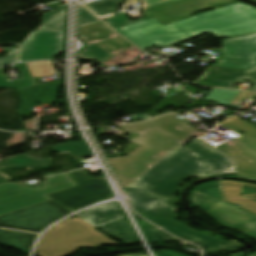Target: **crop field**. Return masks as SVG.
I'll return each mask as SVG.
<instances>
[{
    "label": "crop field",
    "mask_w": 256,
    "mask_h": 256,
    "mask_svg": "<svg viewBox=\"0 0 256 256\" xmlns=\"http://www.w3.org/2000/svg\"><path fill=\"white\" fill-rule=\"evenodd\" d=\"M115 30L145 50L155 43L165 47L205 32L225 37L256 32V9L238 3L166 26L151 19Z\"/></svg>",
    "instance_id": "8a807250"
},
{
    "label": "crop field",
    "mask_w": 256,
    "mask_h": 256,
    "mask_svg": "<svg viewBox=\"0 0 256 256\" xmlns=\"http://www.w3.org/2000/svg\"><path fill=\"white\" fill-rule=\"evenodd\" d=\"M190 177H209L196 157L181 148L165 157L136 183L164 201L175 202L179 185Z\"/></svg>",
    "instance_id": "ac0d7876"
},
{
    "label": "crop field",
    "mask_w": 256,
    "mask_h": 256,
    "mask_svg": "<svg viewBox=\"0 0 256 256\" xmlns=\"http://www.w3.org/2000/svg\"><path fill=\"white\" fill-rule=\"evenodd\" d=\"M119 245L80 218L67 219L40 240L35 256H68L79 247Z\"/></svg>",
    "instance_id": "34b2d1b8"
},
{
    "label": "crop field",
    "mask_w": 256,
    "mask_h": 256,
    "mask_svg": "<svg viewBox=\"0 0 256 256\" xmlns=\"http://www.w3.org/2000/svg\"><path fill=\"white\" fill-rule=\"evenodd\" d=\"M37 189L9 183L0 185V216L47 200L44 195L75 186L67 174L48 178Z\"/></svg>",
    "instance_id": "412701ff"
},
{
    "label": "crop field",
    "mask_w": 256,
    "mask_h": 256,
    "mask_svg": "<svg viewBox=\"0 0 256 256\" xmlns=\"http://www.w3.org/2000/svg\"><path fill=\"white\" fill-rule=\"evenodd\" d=\"M192 205L226 229L234 228L256 239V216L239 210L221 200L190 190ZM256 256V253L250 255Z\"/></svg>",
    "instance_id": "f4fd0767"
},
{
    "label": "crop field",
    "mask_w": 256,
    "mask_h": 256,
    "mask_svg": "<svg viewBox=\"0 0 256 256\" xmlns=\"http://www.w3.org/2000/svg\"><path fill=\"white\" fill-rule=\"evenodd\" d=\"M68 175L77 186L46 196L71 212L112 196L104 178H89L84 170Z\"/></svg>",
    "instance_id": "dd49c442"
},
{
    "label": "crop field",
    "mask_w": 256,
    "mask_h": 256,
    "mask_svg": "<svg viewBox=\"0 0 256 256\" xmlns=\"http://www.w3.org/2000/svg\"><path fill=\"white\" fill-rule=\"evenodd\" d=\"M176 207L170 204H162L153 213L144 215L143 217L158 224L167 232L191 242H195L203 246L208 254L221 252L225 250L236 249L240 244L234 240L224 241L222 239H215L196 232L176 221ZM157 225V226H158Z\"/></svg>",
    "instance_id": "e52e79f7"
},
{
    "label": "crop field",
    "mask_w": 256,
    "mask_h": 256,
    "mask_svg": "<svg viewBox=\"0 0 256 256\" xmlns=\"http://www.w3.org/2000/svg\"><path fill=\"white\" fill-rule=\"evenodd\" d=\"M50 200L0 217V227L39 233L51 223L69 214Z\"/></svg>",
    "instance_id": "d8731c3e"
},
{
    "label": "crop field",
    "mask_w": 256,
    "mask_h": 256,
    "mask_svg": "<svg viewBox=\"0 0 256 256\" xmlns=\"http://www.w3.org/2000/svg\"><path fill=\"white\" fill-rule=\"evenodd\" d=\"M234 0H180L156 8L143 11L144 18L133 21L155 18L164 25L175 22L177 20L191 16L193 12L204 10L208 7L230 3ZM209 9V8H208ZM107 24L113 29L123 25L130 24L124 13H119L116 16L106 20Z\"/></svg>",
    "instance_id": "5a996713"
},
{
    "label": "crop field",
    "mask_w": 256,
    "mask_h": 256,
    "mask_svg": "<svg viewBox=\"0 0 256 256\" xmlns=\"http://www.w3.org/2000/svg\"><path fill=\"white\" fill-rule=\"evenodd\" d=\"M168 154L170 153L141 146L127 157L112 158L108 161L123 185L130 187Z\"/></svg>",
    "instance_id": "3316defc"
},
{
    "label": "crop field",
    "mask_w": 256,
    "mask_h": 256,
    "mask_svg": "<svg viewBox=\"0 0 256 256\" xmlns=\"http://www.w3.org/2000/svg\"><path fill=\"white\" fill-rule=\"evenodd\" d=\"M77 216L125 244L138 243L116 204L94 207L78 213Z\"/></svg>",
    "instance_id": "28ad6ade"
},
{
    "label": "crop field",
    "mask_w": 256,
    "mask_h": 256,
    "mask_svg": "<svg viewBox=\"0 0 256 256\" xmlns=\"http://www.w3.org/2000/svg\"><path fill=\"white\" fill-rule=\"evenodd\" d=\"M63 41L64 31H33L22 43L20 60L53 58L63 51Z\"/></svg>",
    "instance_id": "d1516ede"
},
{
    "label": "crop field",
    "mask_w": 256,
    "mask_h": 256,
    "mask_svg": "<svg viewBox=\"0 0 256 256\" xmlns=\"http://www.w3.org/2000/svg\"><path fill=\"white\" fill-rule=\"evenodd\" d=\"M216 148L232 159L234 167L230 172L240 176L256 177V139L245 135Z\"/></svg>",
    "instance_id": "22f410ed"
},
{
    "label": "crop field",
    "mask_w": 256,
    "mask_h": 256,
    "mask_svg": "<svg viewBox=\"0 0 256 256\" xmlns=\"http://www.w3.org/2000/svg\"><path fill=\"white\" fill-rule=\"evenodd\" d=\"M250 80L251 91L255 92L256 69L235 70L221 67L208 66L201 79L193 82L201 86L232 88L235 81Z\"/></svg>",
    "instance_id": "cbeb9de0"
},
{
    "label": "crop field",
    "mask_w": 256,
    "mask_h": 256,
    "mask_svg": "<svg viewBox=\"0 0 256 256\" xmlns=\"http://www.w3.org/2000/svg\"><path fill=\"white\" fill-rule=\"evenodd\" d=\"M47 83L25 88L23 90L17 91L20 94L22 103L17 112L19 115L30 116L35 104L37 101L47 102L46 99L49 98L50 100L47 103L53 104L55 99L57 98V93L62 86L61 80L49 82L47 87L45 88ZM37 91L35 92L36 88ZM45 88L44 92L42 93L43 89ZM35 92V93H34ZM42 93V95H41ZM41 95V97H40ZM40 97V99H39Z\"/></svg>",
    "instance_id": "5142ce71"
},
{
    "label": "crop field",
    "mask_w": 256,
    "mask_h": 256,
    "mask_svg": "<svg viewBox=\"0 0 256 256\" xmlns=\"http://www.w3.org/2000/svg\"><path fill=\"white\" fill-rule=\"evenodd\" d=\"M221 184L225 201L241 204L239 207L256 214V198H253L256 196V185L232 181H221Z\"/></svg>",
    "instance_id": "d9b57169"
},
{
    "label": "crop field",
    "mask_w": 256,
    "mask_h": 256,
    "mask_svg": "<svg viewBox=\"0 0 256 256\" xmlns=\"http://www.w3.org/2000/svg\"><path fill=\"white\" fill-rule=\"evenodd\" d=\"M223 58L256 62V34L222 40Z\"/></svg>",
    "instance_id": "733c2abd"
},
{
    "label": "crop field",
    "mask_w": 256,
    "mask_h": 256,
    "mask_svg": "<svg viewBox=\"0 0 256 256\" xmlns=\"http://www.w3.org/2000/svg\"><path fill=\"white\" fill-rule=\"evenodd\" d=\"M185 147L200 157L210 176L217 175L219 171L231 166V163L227 158H225L203 140H197Z\"/></svg>",
    "instance_id": "4a817a6b"
},
{
    "label": "crop field",
    "mask_w": 256,
    "mask_h": 256,
    "mask_svg": "<svg viewBox=\"0 0 256 256\" xmlns=\"http://www.w3.org/2000/svg\"><path fill=\"white\" fill-rule=\"evenodd\" d=\"M130 142L167 152L175 149L183 143L156 127L137 136Z\"/></svg>",
    "instance_id": "bc2a9ffb"
},
{
    "label": "crop field",
    "mask_w": 256,
    "mask_h": 256,
    "mask_svg": "<svg viewBox=\"0 0 256 256\" xmlns=\"http://www.w3.org/2000/svg\"><path fill=\"white\" fill-rule=\"evenodd\" d=\"M157 127L163 129L181 141H186L193 136H199L205 132H197L191 127L184 124L183 120L176 117V115H165L149 121Z\"/></svg>",
    "instance_id": "214f88e0"
},
{
    "label": "crop field",
    "mask_w": 256,
    "mask_h": 256,
    "mask_svg": "<svg viewBox=\"0 0 256 256\" xmlns=\"http://www.w3.org/2000/svg\"><path fill=\"white\" fill-rule=\"evenodd\" d=\"M126 194L129 196V200L135 210L142 215L154 211L158 206L164 203V201L151 195L145 188L135 183L126 190Z\"/></svg>",
    "instance_id": "92a150f3"
},
{
    "label": "crop field",
    "mask_w": 256,
    "mask_h": 256,
    "mask_svg": "<svg viewBox=\"0 0 256 256\" xmlns=\"http://www.w3.org/2000/svg\"><path fill=\"white\" fill-rule=\"evenodd\" d=\"M37 234L0 229V244L29 255Z\"/></svg>",
    "instance_id": "dafd665d"
},
{
    "label": "crop field",
    "mask_w": 256,
    "mask_h": 256,
    "mask_svg": "<svg viewBox=\"0 0 256 256\" xmlns=\"http://www.w3.org/2000/svg\"><path fill=\"white\" fill-rule=\"evenodd\" d=\"M51 161L52 160L49 159L31 158L27 154H23L9 158L8 161L0 164V169L47 167L50 165ZM10 180V178H8L6 175L0 172V184L8 182Z\"/></svg>",
    "instance_id": "00972430"
},
{
    "label": "crop field",
    "mask_w": 256,
    "mask_h": 256,
    "mask_svg": "<svg viewBox=\"0 0 256 256\" xmlns=\"http://www.w3.org/2000/svg\"><path fill=\"white\" fill-rule=\"evenodd\" d=\"M66 6H58L52 13L43 16L40 27L37 30H64ZM61 24L62 26H59Z\"/></svg>",
    "instance_id": "a9b5d70f"
},
{
    "label": "crop field",
    "mask_w": 256,
    "mask_h": 256,
    "mask_svg": "<svg viewBox=\"0 0 256 256\" xmlns=\"http://www.w3.org/2000/svg\"><path fill=\"white\" fill-rule=\"evenodd\" d=\"M15 68L20 69L21 73L23 74L24 80L7 82L5 77L2 74L3 68H0V87L1 88H12V89L20 90L22 88L35 85L25 63L17 64Z\"/></svg>",
    "instance_id": "4177f3b9"
},
{
    "label": "crop field",
    "mask_w": 256,
    "mask_h": 256,
    "mask_svg": "<svg viewBox=\"0 0 256 256\" xmlns=\"http://www.w3.org/2000/svg\"><path fill=\"white\" fill-rule=\"evenodd\" d=\"M32 77L52 76L56 74V69L52 61L26 63Z\"/></svg>",
    "instance_id": "730fd06b"
},
{
    "label": "crop field",
    "mask_w": 256,
    "mask_h": 256,
    "mask_svg": "<svg viewBox=\"0 0 256 256\" xmlns=\"http://www.w3.org/2000/svg\"><path fill=\"white\" fill-rule=\"evenodd\" d=\"M120 0H105L97 3L87 4L86 6L98 16L114 13Z\"/></svg>",
    "instance_id": "eef30255"
},
{
    "label": "crop field",
    "mask_w": 256,
    "mask_h": 256,
    "mask_svg": "<svg viewBox=\"0 0 256 256\" xmlns=\"http://www.w3.org/2000/svg\"><path fill=\"white\" fill-rule=\"evenodd\" d=\"M52 151H66V152L73 154L76 157L85 156V155L90 154L85 142L56 145L52 149Z\"/></svg>",
    "instance_id": "ae1a2a85"
},
{
    "label": "crop field",
    "mask_w": 256,
    "mask_h": 256,
    "mask_svg": "<svg viewBox=\"0 0 256 256\" xmlns=\"http://www.w3.org/2000/svg\"><path fill=\"white\" fill-rule=\"evenodd\" d=\"M140 225L146 231L147 235L149 236L151 242H173L176 241L175 239L171 238L170 236L160 232L159 230L153 228L146 222H141Z\"/></svg>",
    "instance_id": "d3111659"
},
{
    "label": "crop field",
    "mask_w": 256,
    "mask_h": 256,
    "mask_svg": "<svg viewBox=\"0 0 256 256\" xmlns=\"http://www.w3.org/2000/svg\"><path fill=\"white\" fill-rule=\"evenodd\" d=\"M194 189L222 200L218 181L204 183Z\"/></svg>",
    "instance_id": "750c4746"
},
{
    "label": "crop field",
    "mask_w": 256,
    "mask_h": 256,
    "mask_svg": "<svg viewBox=\"0 0 256 256\" xmlns=\"http://www.w3.org/2000/svg\"><path fill=\"white\" fill-rule=\"evenodd\" d=\"M219 66L235 69H252L256 68V63L222 59Z\"/></svg>",
    "instance_id": "bd1437ed"
},
{
    "label": "crop field",
    "mask_w": 256,
    "mask_h": 256,
    "mask_svg": "<svg viewBox=\"0 0 256 256\" xmlns=\"http://www.w3.org/2000/svg\"><path fill=\"white\" fill-rule=\"evenodd\" d=\"M96 22H100V20L88 12L84 7L79 5V27Z\"/></svg>",
    "instance_id": "1d83c4d3"
},
{
    "label": "crop field",
    "mask_w": 256,
    "mask_h": 256,
    "mask_svg": "<svg viewBox=\"0 0 256 256\" xmlns=\"http://www.w3.org/2000/svg\"><path fill=\"white\" fill-rule=\"evenodd\" d=\"M152 127H154V125H152L148 122H145V123H141V124L123 125L122 129L128 133L140 134ZM133 128H136V129L134 130Z\"/></svg>",
    "instance_id": "120bbe31"
},
{
    "label": "crop field",
    "mask_w": 256,
    "mask_h": 256,
    "mask_svg": "<svg viewBox=\"0 0 256 256\" xmlns=\"http://www.w3.org/2000/svg\"><path fill=\"white\" fill-rule=\"evenodd\" d=\"M170 105H174L176 107H179L165 99H161L157 104L156 107L152 110V112L148 113L147 115L152 118L155 116H158V114H156L159 110L163 109L164 107L170 106Z\"/></svg>",
    "instance_id": "d32e631a"
},
{
    "label": "crop field",
    "mask_w": 256,
    "mask_h": 256,
    "mask_svg": "<svg viewBox=\"0 0 256 256\" xmlns=\"http://www.w3.org/2000/svg\"><path fill=\"white\" fill-rule=\"evenodd\" d=\"M17 51H12L8 53L7 57L0 58V66L14 63L16 61Z\"/></svg>",
    "instance_id": "5866460e"
},
{
    "label": "crop field",
    "mask_w": 256,
    "mask_h": 256,
    "mask_svg": "<svg viewBox=\"0 0 256 256\" xmlns=\"http://www.w3.org/2000/svg\"><path fill=\"white\" fill-rule=\"evenodd\" d=\"M158 256H187L181 253H177L174 251H166V250H162L158 252Z\"/></svg>",
    "instance_id": "028f5c9d"
},
{
    "label": "crop field",
    "mask_w": 256,
    "mask_h": 256,
    "mask_svg": "<svg viewBox=\"0 0 256 256\" xmlns=\"http://www.w3.org/2000/svg\"><path fill=\"white\" fill-rule=\"evenodd\" d=\"M133 118L134 119L143 120V121L149 119V117L147 115L143 114V113L138 114V115H134Z\"/></svg>",
    "instance_id": "e1f06a70"
},
{
    "label": "crop field",
    "mask_w": 256,
    "mask_h": 256,
    "mask_svg": "<svg viewBox=\"0 0 256 256\" xmlns=\"http://www.w3.org/2000/svg\"><path fill=\"white\" fill-rule=\"evenodd\" d=\"M125 256H146V255H125Z\"/></svg>",
    "instance_id": "0bd39190"
},
{
    "label": "crop field",
    "mask_w": 256,
    "mask_h": 256,
    "mask_svg": "<svg viewBox=\"0 0 256 256\" xmlns=\"http://www.w3.org/2000/svg\"><path fill=\"white\" fill-rule=\"evenodd\" d=\"M256 127V124H253Z\"/></svg>",
    "instance_id": "b80d0937"
}]
</instances>
